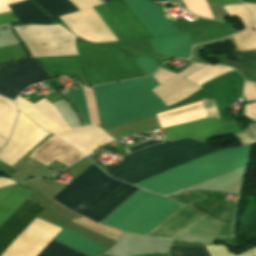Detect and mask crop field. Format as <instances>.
Returning a JSON list of instances; mask_svg holds the SVG:
<instances>
[{"instance_id":"obj_21","label":"crop field","mask_w":256,"mask_h":256,"mask_svg":"<svg viewBox=\"0 0 256 256\" xmlns=\"http://www.w3.org/2000/svg\"><path fill=\"white\" fill-rule=\"evenodd\" d=\"M83 91H84V95H85V99H86L90 123H91V125L99 124L97 110H96V106H95L91 88L83 87ZM63 95L66 96L68 99H70L73 102V104L75 105L78 113L80 114L84 124L90 125L88 115H87V110H86V104H85V100H84V96H83V92H82V87H79L78 90L70 91Z\"/></svg>"},{"instance_id":"obj_19","label":"crop field","mask_w":256,"mask_h":256,"mask_svg":"<svg viewBox=\"0 0 256 256\" xmlns=\"http://www.w3.org/2000/svg\"><path fill=\"white\" fill-rule=\"evenodd\" d=\"M33 189L20 184L0 189V226L27 199Z\"/></svg>"},{"instance_id":"obj_23","label":"crop field","mask_w":256,"mask_h":256,"mask_svg":"<svg viewBox=\"0 0 256 256\" xmlns=\"http://www.w3.org/2000/svg\"><path fill=\"white\" fill-rule=\"evenodd\" d=\"M213 256H234L225 247H209ZM170 256H211L207 246H172L169 251ZM256 254V248H252L237 256H253Z\"/></svg>"},{"instance_id":"obj_16","label":"crop field","mask_w":256,"mask_h":256,"mask_svg":"<svg viewBox=\"0 0 256 256\" xmlns=\"http://www.w3.org/2000/svg\"><path fill=\"white\" fill-rule=\"evenodd\" d=\"M201 215L186 206H181L147 235L176 237L187 226L200 219Z\"/></svg>"},{"instance_id":"obj_37","label":"crop field","mask_w":256,"mask_h":256,"mask_svg":"<svg viewBox=\"0 0 256 256\" xmlns=\"http://www.w3.org/2000/svg\"><path fill=\"white\" fill-rule=\"evenodd\" d=\"M202 102L208 117L220 118L214 100H202Z\"/></svg>"},{"instance_id":"obj_46","label":"crop field","mask_w":256,"mask_h":256,"mask_svg":"<svg viewBox=\"0 0 256 256\" xmlns=\"http://www.w3.org/2000/svg\"><path fill=\"white\" fill-rule=\"evenodd\" d=\"M5 165H7V164H5L4 162L0 161V168H2Z\"/></svg>"},{"instance_id":"obj_10","label":"crop field","mask_w":256,"mask_h":256,"mask_svg":"<svg viewBox=\"0 0 256 256\" xmlns=\"http://www.w3.org/2000/svg\"><path fill=\"white\" fill-rule=\"evenodd\" d=\"M203 66L205 65L192 63L178 74L160 68L159 72L152 76L160 85L151 91L155 93L166 106L179 101L200 88L183 78Z\"/></svg>"},{"instance_id":"obj_25","label":"crop field","mask_w":256,"mask_h":256,"mask_svg":"<svg viewBox=\"0 0 256 256\" xmlns=\"http://www.w3.org/2000/svg\"><path fill=\"white\" fill-rule=\"evenodd\" d=\"M8 6L19 19L21 24H50L53 22L50 18L39 11L31 0L17 2Z\"/></svg>"},{"instance_id":"obj_27","label":"crop field","mask_w":256,"mask_h":256,"mask_svg":"<svg viewBox=\"0 0 256 256\" xmlns=\"http://www.w3.org/2000/svg\"><path fill=\"white\" fill-rule=\"evenodd\" d=\"M232 69L223 66L207 65L202 69L196 71L185 79L190 80L198 85Z\"/></svg>"},{"instance_id":"obj_34","label":"crop field","mask_w":256,"mask_h":256,"mask_svg":"<svg viewBox=\"0 0 256 256\" xmlns=\"http://www.w3.org/2000/svg\"><path fill=\"white\" fill-rule=\"evenodd\" d=\"M135 60L146 75L151 74L157 68L151 58L140 57Z\"/></svg>"},{"instance_id":"obj_33","label":"crop field","mask_w":256,"mask_h":256,"mask_svg":"<svg viewBox=\"0 0 256 256\" xmlns=\"http://www.w3.org/2000/svg\"><path fill=\"white\" fill-rule=\"evenodd\" d=\"M247 132L235 134L240 144L250 146L256 143V123H252L246 128Z\"/></svg>"},{"instance_id":"obj_48","label":"crop field","mask_w":256,"mask_h":256,"mask_svg":"<svg viewBox=\"0 0 256 256\" xmlns=\"http://www.w3.org/2000/svg\"><path fill=\"white\" fill-rule=\"evenodd\" d=\"M101 256H104V255H101ZM138 256H144V254H142V255H138Z\"/></svg>"},{"instance_id":"obj_30","label":"crop field","mask_w":256,"mask_h":256,"mask_svg":"<svg viewBox=\"0 0 256 256\" xmlns=\"http://www.w3.org/2000/svg\"><path fill=\"white\" fill-rule=\"evenodd\" d=\"M229 16L238 17L243 27H254L249 11L243 5L224 6Z\"/></svg>"},{"instance_id":"obj_11","label":"crop field","mask_w":256,"mask_h":256,"mask_svg":"<svg viewBox=\"0 0 256 256\" xmlns=\"http://www.w3.org/2000/svg\"><path fill=\"white\" fill-rule=\"evenodd\" d=\"M85 256H98L105 247L95 241L63 228L53 239ZM37 256H82L54 241H50L43 251Z\"/></svg>"},{"instance_id":"obj_28","label":"crop field","mask_w":256,"mask_h":256,"mask_svg":"<svg viewBox=\"0 0 256 256\" xmlns=\"http://www.w3.org/2000/svg\"><path fill=\"white\" fill-rule=\"evenodd\" d=\"M28 57L20 43L0 47V65Z\"/></svg>"},{"instance_id":"obj_32","label":"crop field","mask_w":256,"mask_h":256,"mask_svg":"<svg viewBox=\"0 0 256 256\" xmlns=\"http://www.w3.org/2000/svg\"><path fill=\"white\" fill-rule=\"evenodd\" d=\"M72 222L76 223V224H79L81 226H84L88 229H91L95 232H98L102 235H105L107 237H110L114 240H118L119 237L122 235L121 233L117 232V231H113V230H110V229H107V228H104V227H99V226H95L89 222H87L86 220L82 219V218H79V219H76V220H73Z\"/></svg>"},{"instance_id":"obj_6","label":"crop field","mask_w":256,"mask_h":256,"mask_svg":"<svg viewBox=\"0 0 256 256\" xmlns=\"http://www.w3.org/2000/svg\"><path fill=\"white\" fill-rule=\"evenodd\" d=\"M77 49L94 85L145 76L132 58L124 59L115 47L77 43Z\"/></svg>"},{"instance_id":"obj_39","label":"crop field","mask_w":256,"mask_h":256,"mask_svg":"<svg viewBox=\"0 0 256 256\" xmlns=\"http://www.w3.org/2000/svg\"><path fill=\"white\" fill-rule=\"evenodd\" d=\"M252 103H254V102H252ZM245 115L256 119V103L245 106ZM249 117H247V118H249Z\"/></svg>"},{"instance_id":"obj_3","label":"crop field","mask_w":256,"mask_h":256,"mask_svg":"<svg viewBox=\"0 0 256 256\" xmlns=\"http://www.w3.org/2000/svg\"><path fill=\"white\" fill-rule=\"evenodd\" d=\"M159 85L152 78L94 87L104 126H114L168 110L150 91Z\"/></svg>"},{"instance_id":"obj_20","label":"crop field","mask_w":256,"mask_h":256,"mask_svg":"<svg viewBox=\"0 0 256 256\" xmlns=\"http://www.w3.org/2000/svg\"><path fill=\"white\" fill-rule=\"evenodd\" d=\"M157 115L163 128L207 117L201 101L164 111Z\"/></svg>"},{"instance_id":"obj_26","label":"crop field","mask_w":256,"mask_h":256,"mask_svg":"<svg viewBox=\"0 0 256 256\" xmlns=\"http://www.w3.org/2000/svg\"><path fill=\"white\" fill-rule=\"evenodd\" d=\"M16 116V106L0 97V135L8 138Z\"/></svg>"},{"instance_id":"obj_41","label":"crop field","mask_w":256,"mask_h":256,"mask_svg":"<svg viewBox=\"0 0 256 256\" xmlns=\"http://www.w3.org/2000/svg\"><path fill=\"white\" fill-rule=\"evenodd\" d=\"M21 0H0V12L9 11L10 9L7 7L6 4H11Z\"/></svg>"},{"instance_id":"obj_8","label":"crop field","mask_w":256,"mask_h":256,"mask_svg":"<svg viewBox=\"0 0 256 256\" xmlns=\"http://www.w3.org/2000/svg\"><path fill=\"white\" fill-rule=\"evenodd\" d=\"M60 230L35 218L1 256H36Z\"/></svg>"},{"instance_id":"obj_1","label":"crop field","mask_w":256,"mask_h":256,"mask_svg":"<svg viewBox=\"0 0 256 256\" xmlns=\"http://www.w3.org/2000/svg\"><path fill=\"white\" fill-rule=\"evenodd\" d=\"M221 148H209L207 141L198 142L185 138L150 146L124 156L126 160L105 172L111 177L133 184ZM250 148L251 146L225 147L134 185L166 195L246 166Z\"/></svg>"},{"instance_id":"obj_44","label":"crop field","mask_w":256,"mask_h":256,"mask_svg":"<svg viewBox=\"0 0 256 256\" xmlns=\"http://www.w3.org/2000/svg\"><path fill=\"white\" fill-rule=\"evenodd\" d=\"M14 182L0 177V187L13 184Z\"/></svg>"},{"instance_id":"obj_7","label":"crop field","mask_w":256,"mask_h":256,"mask_svg":"<svg viewBox=\"0 0 256 256\" xmlns=\"http://www.w3.org/2000/svg\"><path fill=\"white\" fill-rule=\"evenodd\" d=\"M18 113V120L8 146L0 151V159L10 166L48 135L21 112Z\"/></svg>"},{"instance_id":"obj_40","label":"crop field","mask_w":256,"mask_h":256,"mask_svg":"<svg viewBox=\"0 0 256 256\" xmlns=\"http://www.w3.org/2000/svg\"><path fill=\"white\" fill-rule=\"evenodd\" d=\"M242 2H247V3H256V0H241ZM248 9L249 11L252 13L254 20H255V24H256V5L253 4H246L243 3Z\"/></svg>"},{"instance_id":"obj_47","label":"crop field","mask_w":256,"mask_h":256,"mask_svg":"<svg viewBox=\"0 0 256 256\" xmlns=\"http://www.w3.org/2000/svg\"><path fill=\"white\" fill-rule=\"evenodd\" d=\"M105 3H107V2H110V1H113V0H103Z\"/></svg>"},{"instance_id":"obj_4","label":"crop field","mask_w":256,"mask_h":256,"mask_svg":"<svg viewBox=\"0 0 256 256\" xmlns=\"http://www.w3.org/2000/svg\"><path fill=\"white\" fill-rule=\"evenodd\" d=\"M123 1L154 37L178 33L151 0ZM123 1L118 0L91 9L117 41L153 38Z\"/></svg>"},{"instance_id":"obj_45","label":"crop field","mask_w":256,"mask_h":256,"mask_svg":"<svg viewBox=\"0 0 256 256\" xmlns=\"http://www.w3.org/2000/svg\"><path fill=\"white\" fill-rule=\"evenodd\" d=\"M6 140L0 138V150L5 146Z\"/></svg>"},{"instance_id":"obj_29","label":"crop field","mask_w":256,"mask_h":256,"mask_svg":"<svg viewBox=\"0 0 256 256\" xmlns=\"http://www.w3.org/2000/svg\"><path fill=\"white\" fill-rule=\"evenodd\" d=\"M233 36L240 51L256 49V36L254 29L244 30Z\"/></svg>"},{"instance_id":"obj_12","label":"crop field","mask_w":256,"mask_h":256,"mask_svg":"<svg viewBox=\"0 0 256 256\" xmlns=\"http://www.w3.org/2000/svg\"><path fill=\"white\" fill-rule=\"evenodd\" d=\"M46 205L29 198L0 227V255ZM26 228V227H25Z\"/></svg>"},{"instance_id":"obj_18","label":"crop field","mask_w":256,"mask_h":256,"mask_svg":"<svg viewBox=\"0 0 256 256\" xmlns=\"http://www.w3.org/2000/svg\"><path fill=\"white\" fill-rule=\"evenodd\" d=\"M154 53L187 57L192 41L187 32L150 39Z\"/></svg>"},{"instance_id":"obj_35","label":"crop field","mask_w":256,"mask_h":256,"mask_svg":"<svg viewBox=\"0 0 256 256\" xmlns=\"http://www.w3.org/2000/svg\"><path fill=\"white\" fill-rule=\"evenodd\" d=\"M227 55L244 59L247 62L256 66V50L245 51V52H236V53H227Z\"/></svg>"},{"instance_id":"obj_17","label":"crop field","mask_w":256,"mask_h":256,"mask_svg":"<svg viewBox=\"0 0 256 256\" xmlns=\"http://www.w3.org/2000/svg\"><path fill=\"white\" fill-rule=\"evenodd\" d=\"M177 201H179L182 204L187 203H194L200 200L207 199V197L201 195L200 193L194 191V190H182L174 195L169 196ZM198 207L204 209L205 211L214 214L224 220H227L229 222H233V216H234V208L225 206L223 204L217 203L215 201H212L210 199L194 203Z\"/></svg>"},{"instance_id":"obj_36","label":"crop field","mask_w":256,"mask_h":256,"mask_svg":"<svg viewBox=\"0 0 256 256\" xmlns=\"http://www.w3.org/2000/svg\"><path fill=\"white\" fill-rule=\"evenodd\" d=\"M256 100V90L252 82L245 79L243 102Z\"/></svg>"},{"instance_id":"obj_13","label":"crop field","mask_w":256,"mask_h":256,"mask_svg":"<svg viewBox=\"0 0 256 256\" xmlns=\"http://www.w3.org/2000/svg\"><path fill=\"white\" fill-rule=\"evenodd\" d=\"M17 108L51 134L69 128L54 106L45 99L33 105L18 97Z\"/></svg>"},{"instance_id":"obj_38","label":"crop field","mask_w":256,"mask_h":256,"mask_svg":"<svg viewBox=\"0 0 256 256\" xmlns=\"http://www.w3.org/2000/svg\"><path fill=\"white\" fill-rule=\"evenodd\" d=\"M17 21H18V19L15 17V15L12 13V11L0 14V25L17 22Z\"/></svg>"},{"instance_id":"obj_24","label":"crop field","mask_w":256,"mask_h":256,"mask_svg":"<svg viewBox=\"0 0 256 256\" xmlns=\"http://www.w3.org/2000/svg\"><path fill=\"white\" fill-rule=\"evenodd\" d=\"M231 226L209 216L190 226L186 232L195 236L211 239L217 235L230 236Z\"/></svg>"},{"instance_id":"obj_15","label":"crop field","mask_w":256,"mask_h":256,"mask_svg":"<svg viewBox=\"0 0 256 256\" xmlns=\"http://www.w3.org/2000/svg\"><path fill=\"white\" fill-rule=\"evenodd\" d=\"M81 157H83L81 153L60 142L53 136L39 146L30 156V158L35 159L47 166L54 159L68 166Z\"/></svg>"},{"instance_id":"obj_22","label":"crop field","mask_w":256,"mask_h":256,"mask_svg":"<svg viewBox=\"0 0 256 256\" xmlns=\"http://www.w3.org/2000/svg\"><path fill=\"white\" fill-rule=\"evenodd\" d=\"M37 3L45 12H47L52 18L58 17L64 14H68L74 11L85 9L88 7L100 5L97 0H33Z\"/></svg>"},{"instance_id":"obj_5","label":"crop field","mask_w":256,"mask_h":256,"mask_svg":"<svg viewBox=\"0 0 256 256\" xmlns=\"http://www.w3.org/2000/svg\"><path fill=\"white\" fill-rule=\"evenodd\" d=\"M49 76L82 74L87 86L92 85L78 55L34 58ZM33 59L0 67V94L14 100L27 86L49 79V76Z\"/></svg>"},{"instance_id":"obj_9","label":"crop field","mask_w":256,"mask_h":256,"mask_svg":"<svg viewBox=\"0 0 256 256\" xmlns=\"http://www.w3.org/2000/svg\"><path fill=\"white\" fill-rule=\"evenodd\" d=\"M168 140L191 136L199 140H208L245 131L240 122L204 119L196 122L163 129Z\"/></svg>"},{"instance_id":"obj_2","label":"crop field","mask_w":256,"mask_h":256,"mask_svg":"<svg viewBox=\"0 0 256 256\" xmlns=\"http://www.w3.org/2000/svg\"><path fill=\"white\" fill-rule=\"evenodd\" d=\"M138 190L108 177L92 165L52 198L98 223ZM178 207L180 205L167 198L139 190L99 224L146 235Z\"/></svg>"},{"instance_id":"obj_31","label":"crop field","mask_w":256,"mask_h":256,"mask_svg":"<svg viewBox=\"0 0 256 256\" xmlns=\"http://www.w3.org/2000/svg\"><path fill=\"white\" fill-rule=\"evenodd\" d=\"M182 2L189 12L214 19L206 0H182Z\"/></svg>"},{"instance_id":"obj_14","label":"crop field","mask_w":256,"mask_h":256,"mask_svg":"<svg viewBox=\"0 0 256 256\" xmlns=\"http://www.w3.org/2000/svg\"><path fill=\"white\" fill-rule=\"evenodd\" d=\"M54 136L86 155L112 139L97 126L71 128L59 131Z\"/></svg>"},{"instance_id":"obj_42","label":"crop field","mask_w":256,"mask_h":256,"mask_svg":"<svg viewBox=\"0 0 256 256\" xmlns=\"http://www.w3.org/2000/svg\"><path fill=\"white\" fill-rule=\"evenodd\" d=\"M160 142H162V141L152 140V141H149V142L140 144V145H138V146L129 148V151H130V152L136 151V150H139V149H141V148H143V147L150 146V145H153V144H156V143H160Z\"/></svg>"},{"instance_id":"obj_43","label":"crop field","mask_w":256,"mask_h":256,"mask_svg":"<svg viewBox=\"0 0 256 256\" xmlns=\"http://www.w3.org/2000/svg\"><path fill=\"white\" fill-rule=\"evenodd\" d=\"M220 1L222 6L229 4H241L239 0H207V2Z\"/></svg>"},{"instance_id":"obj_49","label":"crop field","mask_w":256,"mask_h":256,"mask_svg":"<svg viewBox=\"0 0 256 256\" xmlns=\"http://www.w3.org/2000/svg\"><path fill=\"white\" fill-rule=\"evenodd\" d=\"M255 84V86H256V83H254Z\"/></svg>"}]
</instances>
